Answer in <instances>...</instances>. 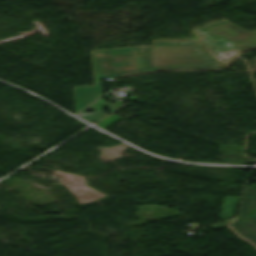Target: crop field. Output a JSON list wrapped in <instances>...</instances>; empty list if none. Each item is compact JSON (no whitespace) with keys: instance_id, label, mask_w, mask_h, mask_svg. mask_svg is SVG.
<instances>
[{"instance_id":"obj_1","label":"crop field","mask_w":256,"mask_h":256,"mask_svg":"<svg viewBox=\"0 0 256 256\" xmlns=\"http://www.w3.org/2000/svg\"><path fill=\"white\" fill-rule=\"evenodd\" d=\"M200 50L192 41H174L157 42V46L152 48L91 51L95 85L73 87L76 112L100 96L99 78L157 69L212 66V62Z\"/></svg>"},{"instance_id":"obj_2","label":"crop field","mask_w":256,"mask_h":256,"mask_svg":"<svg viewBox=\"0 0 256 256\" xmlns=\"http://www.w3.org/2000/svg\"><path fill=\"white\" fill-rule=\"evenodd\" d=\"M204 40L217 52L244 50L256 46V32L249 33L225 21L199 30Z\"/></svg>"},{"instance_id":"obj_3","label":"crop field","mask_w":256,"mask_h":256,"mask_svg":"<svg viewBox=\"0 0 256 256\" xmlns=\"http://www.w3.org/2000/svg\"><path fill=\"white\" fill-rule=\"evenodd\" d=\"M256 207V190L247 185L238 218L231 224L243 237L256 244V219L249 217V211ZM256 215V209L253 211Z\"/></svg>"},{"instance_id":"obj_4","label":"crop field","mask_w":256,"mask_h":256,"mask_svg":"<svg viewBox=\"0 0 256 256\" xmlns=\"http://www.w3.org/2000/svg\"><path fill=\"white\" fill-rule=\"evenodd\" d=\"M238 197L225 196L222 209L218 215L220 218L233 217L236 209Z\"/></svg>"},{"instance_id":"obj_5","label":"crop field","mask_w":256,"mask_h":256,"mask_svg":"<svg viewBox=\"0 0 256 256\" xmlns=\"http://www.w3.org/2000/svg\"><path fill=\"white\" fill-rule=\"evenodd\" d=\"M227 222H228V221L223 222V223H220V224H216V225H213V226H209V227L212 228V229H214V230H216V229L225 227Z\"/></svg>"},{"instance_id":"obj_6","label":"crop field","mask_w":256,"mask_h":256,"mask_svg":"<svg viewBox=\"0 0 256 256\" xmlns=\"http://www.w3.org/2000/svg\"><path fill=\"white\" fill-rule=\"evenodd\" d=\"M253 73L256 74V59H253Z\"/></svg>"}]
</instances>
